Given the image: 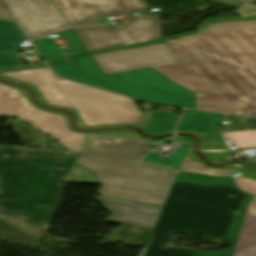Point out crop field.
Masks as SVG:
<instances>
[{
	"label": "crop field",
	"instance_id": "33",
	"mask_svg": "<svg viewBox=\"0 0 256 256\" xmlns=\"http://www.w3.org/2000/svg\"><path fill=\"white\" fill-rule=\"evenodd\" d=\"M191 143H192V141H191ZM191 143H190L189 149H188V151H187V153H186V156H188V157H190V158H192V159L198 161V162L201 163L202 165H204L203 161H202L197 155H195V154L193 153V151H192V146H193V144H191ZM204 166H205V165H204ZM240 167H242V166H241V165H226V166H225V169H228V170H237V169L240 168ZM213 169H215V168H213Z\"/></svg>",
	"mask_w": 256,
	"mask_h": 256
},
{
	"label": "crop field",
	"instance_id": "16",
	"mask_svg": "<svg viewBox=\"0 0 256 256\" xmlns=\"http://www.w3.org/2000/svg\"><path fill=\"white\" fill-rule=\"evenodd\" d=\"M224 114L186 110L177 130L214 133Z\"/></svg>",
	"mask_w": 256,
	"mask_h": 256
},
{
	"label": "crop field",
	"instance_id": "9",
	"mask_svg": "<svg viewBox=\"0 0 256 256\" xmlns=\"http://www.w3.org/2000/svg\"><path fill=\"white\" fill-rule=\"evenodd\" d=\"M105 74L184 61L166 40L93 53Z\"/></svg>",
	"mask_w": 256,
	"mask_h": 256
},
{
	"label": "crop field",
	"instance_id": "25",
	"mask_svg": "<svg viewBox=\"0 0 256 256\" xmlns=\"http://www.w3.org/2000/svg\"><path fill=\"white\" fill-rule=\"evenodd\" d=\"M236 178L241 189L256 195V169L242 168Z\"/></svg>",
	"mask_w": 256,
	"mask_h": 256
},
{
	"label": "crop field",
	"instance_id": "7",
	"mask_svg": "<svg viewBox=\"0 0 256 256\" xmlns=\"http://www.w3.org/2000/svg\"><path fill=\"white\" fill-rule=\"evenodd\" d=\"M128 22L112 29L110 25L74 28L89 51L156 40L160 33V15L126 16Z\"/></svg>",
	"mask_w": 256,
	"mask_h": 256
},
{
	"label": "crop field",
	"instance_id": "24",
	"mask_svg": "<svg viewBox=\"0 0 256 256\" xmlns=\"http://www.w3.org/2000/svg\"><path fill=\"white\" fill-rule=\"evenodd\" d=\"M45 66L46 65H39V66L27 68V69H33V68H39V67H45ZM27 69H19V70H14V71L27 70ZM4 72H12V71H0V73H4ZM0 77L32 85L35 88L36 98L38 99V101H40L42 104H45L47 106H54V105H50V104L47 103V101L44 99V97L42 96V94L40 93V91L37 89V87L34 84L23 82V81H20L18 79H15V78L3 75V74H0ZM55 107H58V106H55ZM59 108H62V107H59ZM64 109H66V108H64ZM69 110H72V109H69ZM72 111H74L76 113V123H77L78 127H83V128H94V127H106V126H120V125H135V124H138V123H131V124H117V125H105V126H84V124L81 121L80 117L78 116L76 110H72Z\"/></svg>",
	"mask_w": 256,
	"mask_h": 256
},
{
	"label": "crop field",
	"instance_id": "8",
	"mask_svg": "<svg viewBox=\"0 0 256 256\" xmlns=\"http://www.w3.org/2000/svg\"><path fill=\"white\" fill-rule=\"evenodd\" d=\"M4 115H14L28 122L57 138L69 150L80 151L86 137L69 131L61 115L36 109L18 90L0 84V116Z\"/></svg>",
	"mask_w": 256,
	"mask_h": 256
},
{
	"label": "crop field",
	"instance_id": "23",
	"mask_svg": "<svg viewBox=\"0 0 256 256\" xmlns=\"http://www.w3.org/2000/svg\"><path fill=\"white\" fill-rule=\"evenodd\" d=\"M46 62L63 57V53L52 39H41L33 41Z\"/></svg>",
	"mask_w": 256,
	"mask_h": 256
},
{
	"label": "crop field",
	"instance_id": "37",
	"mask_svg": "<svg viewBox=\"0 0 256 256\" xmlns=\"http://www.w3.org/2000/svg\"><path fill=\"white\" fill-rule=\"evenodd\" d=\"M215 1H218L220 3L226 4L235 8H237L242 3V1H239V0H215Z\"/></svg>",
	"mask_w": 256,
	"mask_h": 256
},
{
	"label": "crop field",
	"instance_id": "2",
	"mask_svg": "<svg viewBox=\"0 0 256 256\" xmlns=\"http://www.w3.org/2000/svg\"><path fill=\"white\" fill-rule=\"evenodd\" d=\"M243 114L256 116V21L171 41Z\"/></svg>",
	"mask_w": 256,
	"mask_h": 256
},
{
	"label": "crop field",
	"instance_id": "42",
	"mask_svg": "<svg viewBox=\"0 0 256 256\" xmlns=\"http://www.w3.org/2000/svg\"><path fill=\"white\" fill-rule=\"evenodd\" d=\"M8 23H12V22L5 21V20H0V25H2V24H8Z\"/></svg>",
	"mask_w": 256,
	"mask_h": 256
},
{
	"label": "crop field",
	"instance_id": "36",
	"mask_svg": "<svg viewBox=\"0 0 256 256\" xmlns=\"http://www.w3.org/2000/svg\"><path fill=\"white\" fill-rule=\"evenodd\" d=\"M170 236L171 235H157V234H153L150 242H152V243L167 244Z\"/></svg>",
	"mask_w": 256,
	"mask_h": 256
},
{
	"label": "crop field",
	"instance_id": "22",
	"mask_svg": "<svg viewBox=\"0 0 256 256\" xmlns=\"http://www.w3.org/2000/svg\"><path fill=\"white\" fill-rule=\"evenodd\" d=\"M225 138L234 143L236 150L256 147V130L223 133Z\"/></svg>",
	"mask_w": 256,
	"mask_h": 256
},
{
	"label": "crop field",
	"instance_id": "12",
	"mask_svg": "<svg viewBox=\"0 0 256 256\" xmlns=\"http://www.w3.org/2000/svg\"><path fill=\"white\" fill-rule=\"evenodd\" d=\"M232 248L219 252H199L194 256H256V197L247 195L224 237Z\"/></svg>",
	"mask_w": 256,
	"mask_h": 256
},
{
	"label": "crop field",
	"instance_id": "20",
	"mask_svg": "<svg viewBox=\"0 0 256 256\" xmlns=\"http://www.w3.org/2000/svg\"><path fill=\"white\" fill-rule=\"evenodd\" d=\"M188 149V145H183L182 148L176 150L175 153H171V157L162 158L157 151L149 152L142 160L171 168H180L183 157Z\"/></svg>",
	"mask_w": 256,
	"mask_h": 256
},
{
	"label": "crop field",
	"instance_id": "39",
	"mask_svg": "<svg viewBox=\"0 0 256 256\" xmlns=\"http://www.w3.org/2000/svg\"><path fill=\"white\" fill-rule=\"evenodd\" d=\"M175 139H182V140H188V141L191 140L190 137H186V136H177V137H175Z\"/></svg>",
	"mask_w": 256,
	"mask_h": 256
},
{
	"label": "crop field",
	"instance_id": "15",
	"mask_svg": "<svg viewBox=\"0 0 256 256\" xmlns=\"http://www.w3.org/2000/svg\"><path fill=\"white\" fill-rule=\"evenodd\" d=\"M116 143L118 146L113 145ZM143 138H126L90 134L84 150L126 159L139 160L148 146Z\"/></svg>",
	"mask_w": 256,
	"mask_h": 256
},
{
	"label": "crop field",
	"instance_id": "30",
	"mask_svg": "<svg viewBox=\"0 0 256 256\" xmlns=\"http://www.w3.org/2000/svg\"><path fill=\"white\" fill-rule=\"evenodd\" d=\"M213 163H222L230 154L229 151H201Z\"/></svg>",
	"mask_w": 256,
	"mask_h": 256
},
{
	"label": "crop field",
	"instance_id": "29",
	"mask_svg": "<svg viewBox=\"0 0 256 256\" xmlns=\"http://www.w3.org/2000/svg\"><path fill=\"white\" fill-rule=\"evenodd\" d=\"M59 35L60 37L69 41L70 44H68V46L71 48L74 54L87 50V48L84 46V44L81 43V41L73 31V29L65 30L59 33Z\"/></svg>",
	"mask_w": 256,
	"mask_h": 256
},
{
	"label": "crop field",
	"instance_id": "34",
	"mask_svg": "<svg viewBox=\"0 0 256 256\" xmlns=\"http://www.w3.org/2000/svg\"><path fill=\"white\" fill-rule=\"evenodd\" d=\"M95 134L126 136V137H141L135 131H132V130L114 131V132H99V133H95Z\"/></svg>",
	"mask_w": 256,
	"mask_h": 256
},
{
	"label": "crop field",
	"instance_id": "3",
	"mask_svg": "<svg viewBox=\"0 0 256 256\" xmlns=\"http://www.w3.org/2000/svg\"><path fill=\"white\" fill-rule=\"evenodd\" d=\"M245 196L236 186L174 182L153 233L178 231L224 237Z\"/></svg>",
	"mask_w": 256,
	"mask_h": 256
},
{
	"label": "crop field",
	"instance_id": "1",
	"mask_svg": "<svg viewBox=\"0 0 256 256\" xmlns=\"http://www.w3.org/2000/svg\"><path fill=\"white\" fill-rule=\"evenodd\" d=\"M1 154L0 213L48 228L77 154L0 145Z\"/></svg>",
	"mask_w": 256,
	"mask_h": 256
},
{
	"label": "crop field",
	"instance_id": "28",
	"mask_svg": "<svg viewBox=\"0 0 256 256\" xmlns=\"http://www.w3.org/2000/svg\"><path fill=\"white\" fill-rule=\"evenodd\" d=\"M69 182L99 183L96 177L76 163Z\"/></svg>",
	"mask_w": 256,
	"mask_h": 256
},
{
	"label": "crop field",
	"instance_id": "18",
	"mask_svg": "<svg viewBox=\"0 0 256 256\" xmlns=\"http://www.w3.org/2000/svg\"><path fill=\"white\" fill-rule=\"evenodd\" d=\"M175 181L201 185H234L231 177H210L179 171Z\"/></svg>",
	"mask_w": 256,
	"mask_h": 256
},
{
	"label": "crop field",
	"instance_id": "27",
	"mask_svg": "<svg viewBox=\"0 0 256 256\" xmlns=\"http://www.w3.org/2000/svg\"><path fill=\"white\" fill-rule=\"evenodd\" d=\"M180 169L186 170V171H192V172L213 174V175H232V173L234 172V171H227V170H212L202 166L198 162L186 156L184 157V160Z\"/></svg>",
	"mask_w": 256,
	"mask_h": 256
},
{
	"label": "crop field",
	"instance_id": "38",
	"mask_svg": "<svg viewBox=\"0 0 256 256\" xmlns=\"http://www.w3.org/2000/svg\"><path fill=\"white\" fill-rule=\"evenodd\" d=\"M0 17L10 19L9 16L7 15V13L5 12V10L2 8L1 5H0Z\"/></svg>",
	"mask_w": 256,
	"mask_h": 256
},
{
	"label": "crop field",
	"instance_id": "44",
	"mask_svg": "<svg viewBox=\"0 0 256 256\" xmlns=\"http://www.w3.org/2000/svg\"><path fill=\"white\" fill-rule=\"evenodd\" d=\"M249 168H256V167H249Z\"/></svg>",
	"mask_w": 256,
	"mask_h": 256
},
{
	"label": "crop field",
	"instance_id": "31",
	"mask_svg": "<svg viewBox=\"0 0 256 256\" xmlns=\"http://www.w3.org/2000/svg\"><path fill=\"white\" fill-rule=\"evenodd\" d=\"M234 14L245 18L256 16V5L244 2Z\"/></svg>",
	"mask_w": 256,
	"mask_h": 256
},
{
	"label": "crop field",
	"instance_id": "35",
	"mask_svg": "<svg viewBox=\"0 0 256 256\" xmlns=\"http://www.w3.org/2000/svg\"><path fill=\"white\" fill-rule=\"evenodd\" d=\"M1 84H2V83H1ZM4 85H6V84H4ZM7 86H10V87H13V88L18 89V90L31 102L29 96L27 95V93H26L22 88L16 87V86H11V85H7ZM31 103H32V102H31ZM32 104H33V103H32ZM33 105H34V104H33ZM34 106H35L36 108H38V109H41V108L37 107L36 105H34ZM42 110H44V109H42ZM46 111H49V110H46ZM50 112L63 115V117H64V119H65V121H66V123H67V125H68V117H67V114L62 113V112H58V111H50ZM68 127H69V126H68ZM69 129L72 130L70 127H69ZM72 131H74V130H72ZM80 133H81V132H80ZM84 134H86V133H84Z\"/></svg>",
	"mask_w": 256,
	"mask_h": 256
},
{
	"label": "crop field",
	"instance_id": "32",
	"mask_svg": "<svg viewBox=\"0 0 256 256\" xmlns=\"http://www.w3.org/2000/svg\"><path fill=\"white\" fill-rule=\"evenodd\" d=\"M249 20H256V19H249ZM228 21H248V20H217V21H212L210 22L209 24L201 27L196 33L194 34H190V35H184L180 38H183V37H187V36H191V35H196V34H199L201 31L205 30L206 28H208L209 26L213 25L214 23H220V22H228ZM174 40V39H173ZM168 41H171V40H168ZM173 46V45H172ZM174 47V46H173ZM175 48V47H174ZM176 49V48H175ZM177 50V49H176ZM178 51V50H177ZM179 52V51H178ZM180 53V52H179ZM181 54V53H180ZM182 55V54H181ZM183 56V55H182ZM184 57V56H183ZM185 58V57H184ZM188 60V59H187ZM188 62L197 70L199 71L189 60ZM200 72V71H199ZM201 73V72H200ZM202 74V73H201ZM203 75V74H202ZM204 76V75H203ZM205 77V76H204ZM206 78V77H205ZM207 79V78H206ZM208 80V79H207ZM209 81V80H208ZM210 82V81H209ZM211 83V82H210ZM212 84V83H211ZM213 85V84H212ZM214 86V85H213ZM215 87V86H214ZM216 88V87H215ZM217 89V88H216ZM218 90V89H217ZM219 91V90H218ZM220 92V91H219ZM221 93V92H220ZM222 94V93H221ZM223 95V94H222ZM224 96V95H223ZM225 97V96H224ZM226 98V97H225ZM227 99V98H226ZM228 100V99H227ZM229 101V100H228ZM230 102V101H229ZM231 103V102H230ZM232 104V103H231ZM233 105V104H232ZM234 106V105H233ZM235 107V106H234ZM236 108V107H235ZM237 109V108H236ZM238 110V109H237ZM239 111V110H238ZM240 112V111H239ZM241 113V112H240ZM242 114V113H241Z\"/></svg>",
	"mask_w": 256,
	"mask_h": 256
},
{
	"label": "crop field",
	"instance_id": "40",
	"mask_svg": "<svg viewBox=\"0 0 256 256\" xmlns=\"http://www.w3.org/2000/svg\"><path fill=\"white\" fill-rule=\"evenodd\" d=\"M21 67H27V65H21V66H12V67H2L1 69H9V68H21Z\"/></svg>",
	"mask_w": 256,
	"mask_h": 256
},
{
	"label": "crop field",
	"instance_id": "41",
	"mask_svg": "<svg viewBox=\"0 0 256 256\" xmlns=\"http://www.w3.org/2000/svg\"><path fill=\"white\" fill-rule=\"evenodd\" d=\"M255 127H256V118L246 117Z\"/></svg>",
	"mask_w": 256,
	"mask_h": 256
},
{
	"label": "crop field",
	"instance_id": "26",
	"mask_svg": "<svg viewBox=\"0 0 256 256\" xmlns=\"http://www.w3.org/2000/svg\"><path fill=\"white\" fill-rule=\"evenodd\" d=\"M199 142L200 150H229L228 146L222 139L221 133L202 135Z\"/></svg>",
	"mask_w": 256,
	"mask_h": 256
},
{
	"label": "crop field",
	"instance_id": "4",
	"mask_svg": "<svg viewBox=\"0 0 256 256\" xmlns=\"http://www.w3.org/2000/svg\"><path fill=\"white\" fill-rule=\"evenodd\" d=\"M57 75L136 99L198 109L196 93L149 67L105 75L90 54L49 63Z\"/></svg>",
	"mask_w": 256,
	"mask_h": 256
},
{
	"label": "crop field",
	"instance_id": "6",
	"mask_svg": "<svg viewBox=\"0 0 256 256\" xmlns=\"http://www.w3.org/2000/svg\"><path fill=\"white\" fill-rule=\"evenodd\" d=\"M103 183L100 193L163 206L178 171L107 156L82 153L78 161Z\"/></svg>",
	"mask_w": 256,
	"mask_h": 256
},
{
	"label": "crop field",
	"instance_id": "43",
	"mask_svg": "<svg viewBox=\"0 0 256 256\" xmlns=\"http://www.w3.org/2000/svg\"><path fill=\"white\" fill-rule=\"evenodd\" d=\"M247 1H252V2H255L256 0H247Z\"/></svg>",
	"mask_w": 256,
	"mask_h": 256
},
{
	"label": "crop field",
	"instance_id": "13",
	"mask_svg": "<svg viewBox=\"0 0 256 256\" xmlns=\"http://www.w3.org/2000/svg\"><path fill=\"white\" fill-rule=\"evenodd\" d=\"M154 68L196 92L199 109L240 114L187 61L155 66Z\"/></svg>",
	"mask_w": 256,
	"mask_h": 256
},
{
	"label": "crop field",
	"instance_id": "5",
	"mask_svg": "<svg viewBox=\"0 0 256 256\" xmlns=\"http://www.w3.org/2000/svg\"><path fill=\"white\" fill-rule=\"evenodd\" d=\"M4 74L35 83L50 104L77 109L85 125L138 122L142 115L132 99L55 78L48 67Z\"/></svg>",
	"mask_w": 256,
	"mask_h": 256
},
{
	"label": "crop field",
	"instance_id": "17",
	"mask_svg": "<svg viewBox=\"0 0 256 256\" xmlns=\"http://www.w3.org/2000/svg\"><path fill=\"white\" fill-rule=\"evenodd\" d=\"M24 39L23 34L16 24L12 23L0 26V67L21 65L17 61L16 54L12 52Z\"/></svg>",
	"mask_w": 256,
	"mask_h": 256
},
{
	"label": "crop field",
	"instance_id": "11",
	"mask_svg": "<svg viewBox=\"0 0 256 256\" xmlns=\"http://www.w3.org/2000/svg\"><path fill=\"white\" fill-rule=\"evenodd\" d=\"M70 25L94 24V18L105 15L148 13L142 0H53Z\"/></svg>",
	"mask_w": 256,
	"mask_h": 256
},
{
	"label": "crop field",
	"instance_id": "21",
	"mask_svg": "<svg viewBox=\"0 0 256 256\" xmlns=\"http://www.w3.org/2000/svg\"><path fill=\"white\" fill-rule=\"evenodd\" d=\"M194 252L195 250L168 248L167 245L149 243L143 256H193Z\"/></svg>",
	"mask_w": 256,
	"mask_h": 256
},
{
	"label": "crop field",
	"instance_id": "19",
	"mask_svg": "<svg viewBox=\"0 0 256 256\" xmlns=\"http://www.w3.org/2000/svg\"><path fill=\"white\" fill-rule=\"evenodd\" d=\"M179 116L180 115L154 113L147 133L160 134L173 131Z\"/></svg>",
	"mask_w": 256,
	"mask_h": 256
},
{
	"label": "crop field",
	"instance_id": "10",
	"mask_svg": "<svg viewBox=\"0 0 256 256\" xmlns=\"http://www.w3.org/2000/svg\"><path fill=\"white\" fill-rule=\"evenodd\" d=\"M30 39L69 28L51 0H1Z\"/></svg>",
	"mask_w": 256,
	"mask_h": 256
},
{
	"label": "crop field",
	"instance_id": "14",
	"mask_svg": "<svg viewBox=\"0 0 256 256\" xmlns=\"http://www.w3.org/2000/svg\"><path fill=\"white\" fill-rule=\"evenodd\" d=\"M112 215L108 222L133 225L153 229L163 207L115 200L109 198H97Z\"/></svg>",
	"mask_w": 256,
	"mask_h": 256
}]
</instances>
